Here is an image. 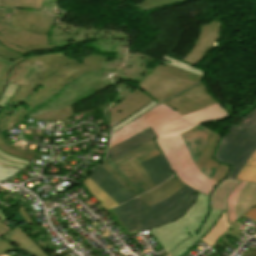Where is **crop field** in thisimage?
Here are the masks:
<instances>
[{"label": "crop field", "instance_id": "03da06ac", "mask_svg": "<svg viewBox=\"0 0 256 256\" xmlns=\"http://www.w3.org/2000/svg\"><path fill=\"white\" fill-rule=\"evenodd\" d=\"M0 156L3 157V158H5V159H8L9 161H14V162H16V163H20V164H29L28 161H25V160H22V159L13 157V156H11V155H8V154L2 152L1 150H0Z\"/></svg>", "mask_w": 256, "mask_h": 256}, {"label": "crop field", "instance_id": "733c2abd", "mask_svg": "<svg viewBox=\"0 0 256 256\" xmlns=\"http://www.w3.org/2000/svg\"><path fill=\"white\" fill-rule=\"evenodd\" d=\"M172 178V177H171ZM185 186L183 182H181L177 177H173L172 179L164 182L157 188L152 191L141 195L139 198L148 206L156 204L166 197L174 194L180 188Z\"/></svg>", "mask_w": 256, "mask_h": 256}, {"label": "crop field", "instance_id": "d32e631a", "mask_svg": "<svg viewBox=\"0 0 256 256\" xmlns=\"http://www.w3.org/2000/svg\"><path fill=\"white\" fill-rule=\"evenodd\" d=\"M216 135L217 134L212 133V135H211V137H210V139H209V141H208V143H207V145L205 147V150H204L203 154L201 155V157L198 160V163L196 164V166L199 168V170L202 169V167H203V165H204V163H205V161H206V159H207V157L209 155V152H210V150L212 148V145H213V143H214V141L216 139Z\"/></svg>", "mask_w": 256, "mask_h": 256}, {"label": "crop field", "instance_id": "34b2d1b8", "mask_svg": "<svg viewBox=\"0 0 256 256\" xmlns=\"http://www.w3.org/2000/svg\"><path fill=\"white\" fill-rule=\"evenodd\" d=\"M107 59L91 54L80 63L61 53L28 57L30 64L36 63L43 70L34 77L31 87H21L15 98L0 112V132L16 125L34 105L38 106L46 101L65 84L85 73L100 71ZM0 149L28 161L36 155L11 145L1 134Z\"/></svg>", "mask_w": 256, "mask_h": 256}, {"label": "crop field", "instance_id": "5866460e", "mask_svg": "<svg viewBox=\"0 0 256 256\" xmlns=\"http://www.w3.org/2000/svg\"><path fill=\"white\" fill-rule=\"evenodd\" d=\"M21 170L22 169H17V168L5 166V165H0V182L16 175Z\"/></svg>", "mask_w": 256, "mask_h": 256}, {"label": "crop field", "instance_id": "3316defc", "mask_svg": "<svg viewBox=\"0 0 256 256\" xmlns=\"http://www.w3.org/2000/svg\"><path fill=\"white\" fill-rule=\"evenodd\" d=\"M101 165L134 197L149 191L128 162L124 161L115 165L107 155L106 160Z\"/></svg>", "mask_w": 256, "mask_h": 256}, {"label": "crop field", "instance_id": "0bd39190", "mask_svg": "<svg viewBox=\"0 0 256 256\" xmlns=\"http://www.w3.org/2000/svg\"><path fill=\"white\" fill-rule=\"evenodd\" d=\"M229 169H230L229 166L220 164L218 172L212 180L220 183L226 177V175L229 173Z\"/></svg>", "mask_w": 256, "mask_h": 256}, {"label": "crop field", "instance_id": "92a150f3", "mask_svg": "<svg viewBox=\"0 0 256 256\" xmlns=\"http://www.w3.org/2000/svg\"><path fill=\"white\" fill-rule=\"evenodd\" d=\"M254 206H256V184L247 183L238 196L236 206L237 219Z\"/></svg>", "mask_w": 256, "mask_h": 256}, {"label": "crop field", "instance_id": "c21b1889", "mask_svg": "<svg viewBox=\"0 0 256 256\" xmlns=\"http://www.w3.org/2000/svg\"><path fill=\"white\" fill-rule=\"evenodd\" d=\"M57 48L56 45H43V46H34V47H27L26 51L24 52V55L33 51H38V50H46V49H54Z\"/></svg>", "mask_w": 256, "mask_h": 256}, {"label": "crop field", "instance_id": "d3111659", "mask_svg": "<svg viewBox=\"0 0 256 256\" xmlns=\"http://www.w3.org/2000/svg\"><path fill=\"white\" fill-rule=\"evenodd\" d=\"M22 60H24V58H20L18 60L10 62V61L0 58V93L2 92V90L4 89V86L6 84L8 71L11 69V67L14 64H16Z\"/></svg>", "mask_w": 256, "mask_h": 256}, {"label": "crop field", "instance_id": "4a817a6b", "mask_svg": "<svg viewBox=\"0 0 256 256\" xmlns=\"http://www.w3.org/2000/svg\"><path fill=\"white\" fill-rule=\"evenodd\" d=\"M0 239H7L8 241L12 242L14 245L18 246L31 256H47L35 243L34 241L29 238L23 230L17 226L9 233L5 234L4 236L0 237ZM30 246L31 248L28 249L27 247Z\"/></svg>", "mask_w": 256, "mask_h": 256}, {"label": "crop field", "instance_id": "c035e120", "mask_svg": "<svg viewBox=\"0 0 256 256\" xmlns=\"http://www.w3.org/2000/svg\"><path fill=\"white\" fill-rule=\"evenodd\" d=\"M14 248H17L13 244L7 242L6 240H0V255L4 254Z\"/></svg>", "mask_w": 256, "mask_h": 256}, {"label": "crop field", "instance_id": "a9b5d70f", "mask_svg": "<svg viewBox=\"0 0 256 256\" xmlns=\"http://www.w3.org/2000/svg\"><path fill=\"white\" fill-rule=\"evenodd\" d=\"M74 114L71 106L62 108L55 111H48L39 114L30 115V117L35 119H43V120H64Z\"/></svg>", "mask_w": 256, "mask_h": 256}, {"label": "crop field", "instance_id": "cbeb9de0", "mask_svg": "<svg viewBox=\"0 0 256 256\" xmlns=\"http://www.w3.org/2000/svg\"><path fill=\"white\" fill-rule=\"evenodd\" d=\"M54 22L42 13L33 11L16 10L13 17L15 28H27V30L42 34H47Z\"/></svg>", "mask_w": 256, "mask_h": 256}, {"label": "crop field", "instance_id": "8a807250", "mask_svg": "<svg viewBox=\"0 0 256 256\" xmlns=\"http://www.w3.org/2000/svg\"><path fill=\"white\" fill-rule=\"evenodd\" d=\"M57 0H43L42 12L47 17L57 21V28H53V33L50 42L56 43L58 46L71 45L79 41H86L94 38H99V41L93 45L100 50L108 53L118 50V59L113 62L107 61L101 72L89 73L74 80V86H64L65 93L62 96L51 97L53 103H48L39 111H47L70 106L77 101L84 100L89 96L107 88L112 83L117 85L116 81L120 79H135L142 81L145 77L151 74L154 68L146 69V63L154 62L151 58L140 54H131L128 50L129 36L121 31H112L101 28L84 27L72 24L61 23L60 19L68 12L57 7ZM47 103V101L45 102Z\"/></svg>", "mask_w": 256, "mask_h": 256}, {"label": "crop field", "instance_id": "750c4746", "mask_svg": "<svg viewBox=\"0 0 256 256\" xmlns=\"http://www.w3.org/2000/svg\"><path fill=\"white\" fill-rule=\"evenodd\" d=\"M127 161L136 170L140 178L145 182V184L148 186L150 190L155 187V184L153 183L149 175L146 173V171L141 167L139 162L134 157L128 159Z\"/></svg>", "mask_w": 256, "mask_h": 256}, {"label": "crop field", "instance_id": "ac0d7876", "mask_svg": "<svg viewBox=\"0 0 256 256\" xmlns=\"http://www.w3.org/2000/svg\"><path fill=\"white\" fill-rule=\"evenodd\" d=\"M229 117L231 116L218 103L182 117L168 106L158 104L130 124L114 132L110 147L150 126L158 136L153 140L168 159L175 176L208 196L218 183L208 179L197 169L180 134L198 124Z\"/></svg>", "mask_w": 256, "mask_h": 256}, {"label": "crop field", "instance_id": "dafd665d", "mask_svg": "<svg viewBox=\"0 0 256 256\" xmlns=\"http://www.w3.org/2000/svg\"><path fill=\"white\" fill-rule=\"evenodd\" d=\"M83 183H84L86 189L98 199V201L102 204L104 209L112 208V207L118 205L107 193H105L89 177H87Z\"/></svg>", "mask_w": 256, "mask_h": 256}, {"label": "crop field", "instance_id": "d8731c3e", "mask_svg": "<svg viewBox=\"0 0 256 256\" xmlns=\"http://www.w3.org/2000/svg\"><path fill=\"white\" fill-rule=\"evenodd\" d=\"M14 9H0V43L23 55L26 46L47 43V35L35 34L21 28L15 30L12 25Z\"/></svg>", "mask_w": 256, "mask_h": 256}, {"label": "crop field", "instance_id": "d9b57169", "mask_svg": "<svg viewBox=\"0 0 256 256\" xmlns=\"http://www.w3.org/2000/svg\"><path fill=\"white\" fill-rule=\"evenodd\" d=\"M140 164L150 175L156 186L163 182L165 179L174 175L167 159L163 154L145 160Z\"/></svg>", "mask_w": 256, "mask_h": 256}, {"label": "crop field", "instance_id": "bd1437ed", "mask_svg": "<svg viewBox=\"0 0 256 256\" xmlns=\"http://www.w3.org/2000/svg\"><path fill=\"white\" fill-rule=\"evenodd\" d=\"M21 85L8 84L0 98V106L5 107L16 95Z\"/></svg>", "mask_w": 256, "mask_h": 256}, {"label": "crop field", "instance_id": "730fd06b", "mask_svg": "<svg viewBox=\"0 0 256 256\" xmlns=\"http://www.w3.org/2000/svg\"><path fill=\"white\" fill-rule=\"evenodd\" d=\"M245 184H246L245 182H240L230 191L228 195L226 209H227V214H228L230 224H232L236 220V214H235L236 200L240 190Z\"/></svg>", "mask_w": 256, "mask_h": 256}, {"label": "crop field", "instance_id": "22f410ed", "mask_svg": "<svg viewBox=\"0 0 256 256\" xmlns=\"http://www.w3.org/2000/svg\"><path fill=\"white\" fill-rule=\"evenodd\" d=\"M103 190H105L118 204L133 196L125 190L101 165L94 169L90 176ZM105 192V193H106Z\"/></svg>", "mask_w": 256, "mask_h": 256}, {"label": "crop field", "instance_id": "e1f06a70", "mask_svg": "<svg viewBox=\"0 0 256 256\" xmlns=\"http://www.w3.org/2000/svg\"><path fill=\"white\" fill-rule=\"evenodd\" d=\"M158 102L155 100L154 102L148 104L147 106H145L144 108H142L140 111L136 112L135 114H133L132 116H130L129 118H127L126 120L120 122L119 124L113 126L111 128V131L113 132L114 130H116L117 128L121 127L122 125H124L125 123H127L128 121H130L131 119L137 117L138 115L142 114L144 111H146L149 107L157 104ZM150 109V108H149Z\"/></svg>", "mask_w": 256, "mask_h": 256}, {"label": "crop field", "instance_id": "b54c1fbb", "mask_svg": "<svg viewBox=\"0 0 256 256\" xmlns=\"http://www.w3.org/2000/svg\"><path fill=\"white\" fill-rule=\"evenodd\" d=\"M158 154H161V151L159 149H157V150H155L153 152H150V153H148V154H146L144 156H141V157L137 158V160L140 162V161H143L145 159H148V158H151L153 156H156Z\"/></svg>", "mask_w": 256, "mask_h": 256}, {"label": "crop field", "instance_id": "214f88e0", "mask_svg": "<svg viewBox=\"0 0 256 256\" xmlns=\"http://www.w3.org/2000/svg\"><path fill=\"white\" fill-rule=\"evenodd\" d=\"M41 70L36 64L30 65L27 61H24L13 67L8 82L30 86L33 77Z\"/></svg>", "mask_w": 256, "mask_h": 256}, {"label": "crop field", "instance_id": "dd49c442", "mask_svg": "<svg viewBox=\"0 0 256 256\" xmlns=\"http://www.w3.org/2000/svg\"><path fill=\"white\" fill-rule=\"evenodd\" d=\"M256 150V110L243 118L239 127L231 126L219 142L212 158L231 166L228 178L235 179L239 170Z\"/></svg>", "mask_w": 256, "mask_h": 256}, {"label": "crop field", "instance_id": "bc2a9ffb", "mask_svg": "<svg viewBox=\"0 0 256 256\" xmlns=\"http://www.w3.org/2000/svg\"><path fill=\"white\" fill-rule=\"evenodd\" d=\"M156 137L154 131L149 127L138 135L112 147L108 153L113 158L118 157Z\"/></svg>", "mask_w": 256, "mask_h": 256}, {"label": "crop field", "instance_id": "f4fd0767", "mask_svg": "<svg viewBox=\"0 0 256 256\" xmlns=\"http://www.w3.org/2000/svg\"><path fill=\"white\" fill-rule=\"evenodd\" d=\"M198 194L186 185L174 195L150 207L135 198L113 209L130 231L137 229L141 233L181 217L194 203Z\"/></svg>", "mask_w": 256, "mask_h": 256}, {"label": "crop field", "instance_id": "028f5c9d", "mask_svg": "<svg viewBox=\"0 0 256 256\" xmlns=\"http://www.w3.org/2000/svg\"><path fill=\"white\" fill-rule=\"evenodd\" d=\"M107 213L115 220V222L119 225V227L125 232L127 236H132L137 233V231L130 232L125 224L121 221V219L117 216L113 209L106 210Z\"/></svg>", "mask_w": 256, "mask_h": 256}, {"label": "crop field", "instance_id": "120bbe31", "mask_svg": "<svg viewBox=\"0 0 256 256\" xmlns=\"http://www.w3.org/2000/svg\"><path fill=\"white\" fill-rule=\"evenodd\" d=\"M178 1H182V0H145L142 4L135 5V7L139 8L141 11H145V10L153 9L156 7L164 6V5L171 4Z\"/></svg>", "mask_w": 256, "mask_h": 256}, {"label": "crop field", "instance_id": "ae1a2a85", "mask_svg": "<svg viewBox=\"0 0 256 256\" xmlns=\"http://www.w3.org/2000/svg\"><path fill=\"white\" fill-rule=\"evenodd\" d=\"M219 138H220V135H217V139H216V141L213 145V148L210 152V155H209L202 171L200 170L205 176H207L210 179H212L214 177V175L217 171L218 165H219V162H217V161H215L214 159L211 158L215 149H216V146L219 142Z\"/></svg>", "mask_w": 256, "mask_h": 256}, {"label": "crop field", "instance_id": "eef30255", "mask_svg": "<svg viewBox=\"0 0 256 256\" xmlns=\"http://www.w3.org/2000/svg\"><path fill=\"white\" fill-rule=\"evenodd\" d=\"M155 149H157V146L155 145V143L152 140V141H150V142H148V143H146V144H144V145H142V146H140V147H138V148H136V149H134V150L118 157V158H116V159H114V162H115V164H117V163L131 157V156H134L135 158H137V157H139L141 155H144V154H146L150 151H153Z\"/></svg>", "mask_w": 256, "mask_h": 256}, {"label": "crop field", "instance_id": "d23c7cc5", "mask_svg": "<svg viewBox=\"0 0 256 256\" xmlns=\"http://www.w3.org/2000/svg\"><path fill=\"white\" fill-rule=\"evenodd\" d=\"M19 213L23 216L27 223H33L31 218L26 214V212L22 208H20Z\"/></svg>", "mask_w": 256, "mask_h": 256}, {"label": "crop field", "instance_id": "5142ce71", "mask_svg": "<svg viewBox=\"0 0 256 256\" xmlns=\"http://www.w3.org/2000/svg\"><path fill=\"white\" fill-rule=\"evenodd\" d=\"M211 133L212 132L198 125L196 128L181 134L195 164L201 155Z\"/></svg>", "mask_w": 256, "mask_h": 256}, {"label": "crop field", "instance_id": "4177f3b9", "mask_svg": "<svg viewBox=\"0 0 256 256\" xmlns=\"http://www.w3.org/2000/svg\"><path fill=\"white\" fill-rule=\"evenodd\" d=\"M42 0H0V8L41 9Z\"/></svg>", "mask_w": 256, "mask_h": 256}, {"label": "crop field", "instance_id": "425ffa30", "mask_svg": "<svg viewBox=\"0 0 256 256\" xmlns=\"http://www.w3.org/2000/svg\"><path fill=\"white\" fill-rule=\"evenodd\" d=\"M0 163L1 164H5V165H9V166H14V167H18V168H24V165H19V164H13V163H9L3 159L0 158Z\"/></svg>", "mask_w": 256, "mask_h": 256}, {"label": "crop field", "instance_id": "00972430", "mask_svg": "<svg viewBox=\"0 0 256 256\" xmlns=\"http://www.w3.org/2000/svg\"><path fill=\"white\" fill-rule=\"evenodd\" d=\"M236 180L256 183V151L242 167Z\"/></svg>", "mask_w": 256, "mask_h": 256}, {"label": "crop field", "instance_id": "5a996713", "mask_svg": "<svg viewBox=\"0 0 256 256\" xmlns=\"http://www.w3.org/2000/svg\"><path fill=\"white\" fill-rule=\"evenodd\" d=\"M162 103L170 106L172 109L173 107L177 108L176 112L182 116L208 107L217 102L209 96L204 84L199 83L190 90L172 97Z\"/></svg>", "mask_w": 256, "mask_h": 256}, {"label": "crop field", "instance_id": "412701ff", "mask_svg": "<svg viewBox=\"0 0 256 256\" xmlns=\"http://www.w3.org/2000/svg\"><path fill=\"white\" fill-rule=\"evenodd\" d=\"M221 214L220 210H209V197L200 193L183 217L149 231L167 256H179L201 239Z\"/></svg>", "mask_w": 256, "mask_h": 256}, {"label": "crop field", "instance_id": "e52e79f7", "mask_svg": "<svg viewBox=\"0 0 256 256\" xmlns=\"http://www.w3.org/2000/svg\"><path fill=\"white\" fill-rule=\"evenodd\" d=\"M201 79V76L173 66L161 67L158 65L154 72L138 86L160 102L193 86Z\"/></svg>", "mask_w": 256, "mask_h": 256}, {"label": "crop field", "instance_id": "d1516ede", "mask_svg": "<svg viewBox=\"0 0 256 256\" xmlns=\"http://www.w3.org/2000/svg\"><path fill=\"white\" fill-rule=\"evenodd\" d=\"M218 33V21H212L210 24L202 26L199 39L182 61L193 66L197 65L213 46Z\"/></svg>", "mask_w": 256, "mask_h": 256}, {"label": "crop field", "instance_id": "28ad6ade", "mask_svg": "<svg viewBox=\"0 0 256 256\" xmlns=\"http://www.w3.org/2000/svg\"><path fill=\"white\" fill-rule=\"evenodd\" d=\"M151 101L153 99L136 88L128 97L111 108L110 127L126 119Z\"/></svg>", "mask_w": 256, "mask_h": 256}, {"label": "crop field", "instance_id": "5d738f31", "mask_svg": "<svg viewBox=\"0 0 256 256\" xmlns=\"http://www.w3.org/2000/svg\"><path fill=\"white\" fill-rule=\"evenodd\" d=\"M244 216H247L256 221V207L249 210L246 214H244Z\"/></svg>", "mask_w": 256, "mask_h": 256}, {"label": "crop field", "instance_id": "1d83c4d3", "mask_svg": "<svg viewBox=\"0 0 256 256\" xmlns=\"http://www.w3.org/2000/svg\"><path fill=\"white\" fill-rule=\"evenodd\" d=\"M162 62L166 63V64H169V65H173V66H176L177 68H180V69H183V70H186V71H189V72H192V73H195V74H198V75H201L203 76V71L195 68V67H192L184 62H179L177 60H174L172 58H169L167 56H164L162 59H161Z\"/></svg>", "mask_w": 256, "mask_h": 256}, {"label": "crop field", "instance_id": "b80d0937", "mask_svg": "<svg viewBox=\"0 0 256 256\" xmlns=\"http://www.w3.org/2000/svg\"><path fill=\"white\" fill-rule=\"evenodd\" d=\"M0 57L13 61L23 56H20L12 51H9L0 45Z\"/></svg>", "mask_w": 256, "mask_h": 256}]
</instances>
